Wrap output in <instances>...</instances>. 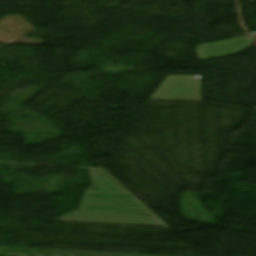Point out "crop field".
Instances as JSON below:
<instances>
[{"instance_id":"8a807250","label":"crop field","mask_w":256,"mask_h":256,"mask_svg":"<svg viewBox=\"0 0 256 256\" xmlns=\"http://www.w3.org/2000/svg\"><path fill=\"white\" fill-rule=\"evenodd\" d=\"M90 174L80 210L55 221L169 228L103 169Z\"/></svg>"},{"instance_id":"ac0d7876","label":"crop field","mask_w":256,"mask_h":256,"mask_svg":"<svg viewBox=\"0 0 256 256\" xmlns=\"http://www.w3.org/2000/svg\"><path fill=\"white\" fill-rule=\"evenodd\" d=\"M254 41L252 37H243L222 42L198 46L199 59L205 60L235 54L249 47Z\"/></svg>"}]
</instances>
